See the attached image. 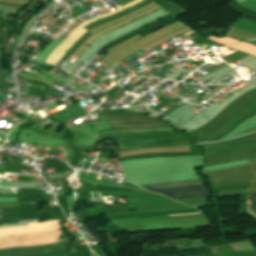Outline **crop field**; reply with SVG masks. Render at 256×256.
I'll list each match as a JSON object with an SVG mask.
<instances>
[{
    "label": "crop field",
    "mask_w": 256,
    "mask_h": 256,
    "mask_svg": "<svg viewBox=\"0 0 256 256\" xmlns=\"http://www.w3.org/2000/svg\"><path fill=\"white\" fill-rule=\"evenodd\" d=\"M245 208L256 213V194L246 197Z\"/></svg>",
    "instance_id": "e52e79f7"
},
{
    "label": "crop field",
    "mask_w": 256,
    "mask_h": 256,
    "mask_svg": "<svg viewBox=\"0 0 256 256\" xmlns=\"http://www.w3.org/2000/svg\"><path fill=\"white\" fill-rule=\"evenodd\" d=\"M251 43H255L256 44V40H254V41H250Z\"/></svg>",
    "instance_id": "3316defc"
},
{
    "label": "crop field",
    "mask_w": 256,
    "mask_h": 256,
    "mask_svg": "<svg viewBox=\"0 0 256 256\" xmlns=\"http://www.w3.org/2000/svg\"><path fill=\"white\" fill-rule=\"evenodd\" d=\"M232 9H234V10H236V11H238V12H240V13H242V14H244L246 17H248L249 19H251V20H253V21H255L256 22V13H254V12H252V11H249V10H247V9H245V8H243V7H241L239 4H237L236 2L235 3H232V5L230 6ZM247 18V19H248ZM248 19V20H249ZM250 20V21H251ZM252 21V22H253Z\"/></svg>",
    "instance_id": "dd49c442"
},
{
    "label": "crop field",
    "mask_w": 256,
    "mask_h": 256,
    "mask_svg": "<svg viewBox=\"0 0 256 256\" xmlns=\"http://www.w3.org/2000/svg\"><path fill=\"white\" fill-rule=\"evenodd\" d=\"M149 191L162 193L174 200L188 199V198H202L208 197V192L204 185H193L178 188H151V185L142 186Z\"/></svg>",
    "instance_id": "8a807250"
},
{
    "label": "crop field",
    "mask_w": 256,
    "mask_h": 256,
    "mask_svg": "<svg viewBox=\"0 0 256 256\" xmlns=\"http://www.w3.org/2000/svg\"><path fill=\"white\" fill-rule=\"evenodd\" d=\"M240 3L256 10V0H245V1L240 2Z\"/></svg>",
    "instance_id": "5a996713"
},
{
    "label": "crop field",
    "mask_w": 256,
    "mask_h": 256,
    "mask_svg": "<svg viewBox=\"0 0 256 256\" xmlns=\"http://www.w3.org/2000/svg\"><path fill=\"white\" fill-rule=\"evenodd\" d=\"M228 47L238 49V50H241V51H244L246 53L256 56V46L255 45H251V44L243 42V43L228 46Z\"/></svg>",
    "instance_id": "f4fd0767"
},
{
    "label": "crop field",
    "mask_w": 256,
    "mask_h": 256,
    "mask_svg": "<svg viewBox=\"0 0 256 256\" xmlns=\"http://www.w3.org/2000/svg\"><path fill=\"white\" fill-rule=\"evenodd\" d=\"M193 184H203L202 180H192V181H180V182H172V183H163V184H155L152 187H177V186H185V185H193Z\"/></svg>",
    "instance_id": "412701ff"
},
{
    "label": "crop field",
    "mask_w": 256,
    "mask_h": 256,
    "mask_svg": "<svg viewBox=\"0 0 256 256\" xmlns=\"http://www.w3.org/2000/svg\"><path fill=\"white\" fill-rule=\"evenodd\" d=\"M68 242H60L40 247H25V248H9V249H0V256L3 255H13V254H25V253H38L47 251L54 248H60L67 246Z\"/></svg>",
    "instance_id": "34b2d1b8"
},
{
    "label": "crop field",
    "mask_w": 256,
    "mask_h": 256,
    "mask_svg": "<svg viewBox=\"0 0 256 256\" xmlns=\"http://www.w3.org/2000/svg\"><path fill=\"white\" fill-rule=\"evenodd\" d=\"M208 38L211 39V40L217 41L218 43L223 44V45H229V44H232V43L240 42V41L233 40L229 37L213 38L212 36H209Z\"/></svg>",
    "instance_id": "d8731c3e"
},
{
    "label": "crop field",
    "mask_w": 256,
    "mask_h": 256,
    "mask_svg": "<svg viewBox=\"0 0 256 256\" xmlns=\"http://www.w3.org/2000/svg\"><path fill=\"white\" fill-rule=\"evenodd\" d=\"M174 21H176V20H175L172 16L169 15V16H167L166 18H164V19H162V20H159V21H157V22H155V23H152V24H150V25H148V26H145V27H143V28H141V29H139V30H137V31H135V32H133V33L127 35V36H124V37H122V38H120V39H117V40H115V41H113V42L107 44L106 46H104V47L98 52V54L102 55V54H103L106 50H108L109 48H111V47L117 45L118 43H120V42H122V41H124V40H126V39H128V38H130V37H132V36H134V35H136V34H138V33L140 34L141 37H143V36H145V35L151 33L152 31H154V30H156V29H158V28H160V27H162V26H165V25H167V24H170V23H172V22H174Z\"/></svg>",
    "instance_id": "ac0d7876"
}]
</instances>
